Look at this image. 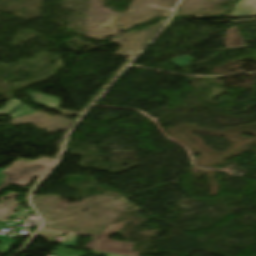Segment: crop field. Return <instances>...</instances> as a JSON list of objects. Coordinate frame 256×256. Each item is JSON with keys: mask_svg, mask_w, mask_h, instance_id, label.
<instances>
[{"mask_svg": "<svg viewBox=\"0 0 256 256\" xmlns=\"http://www.w3.org/2000/svg\"><path fill=\"white\" fill-rule=\"evenodd\" d=\"M54 161L41 160L34 163L17 161L6 168L3 174L7 176L6 180L0 185L7 187L14 184L20 187L26 186L34 177L39 179L50 169Z\"/></svg>", "mask_w": 256, "mask_h": 256, "instance_id": "crop-field-2", "label": "crop field"}, {"mask_svg": "<svg viewBox=\"0 0 256 256\" xmlns=\"http://www.w3.org/2000/svg\"><path fill=\"white\" fill-rule=\"evenodd\" d=\"M123 225L124 224L111 225L99 235L87 233V232L65 230V229H58V228H51V227H42V228L61 231V232L95 236L94 239L87 246L84 247V249L121 254V255H127V256H139L140 253L133 252L132 250V247L134 244L107 239L109 236H111L115 231H117Z\"/></svg>", "mask_w": 256, "mask_h": 256, "instance_id": "crop-field-1", "label": "crop field"}, {"mask_svg": "<svg viewBox=\"0 0 256 256\" xmlns=\"http://www.w3.org/2000/svg\"><path fill=\"white\" fill-rule=\"evenodd\" d=\"M76 239H77V236L76 235H73L71 237H68L64 240V242H62L60 244V246H67V247H75L76 245Z\"/></svg>", "mask_w": 256, "mask_h": 256, "instance_id": "crop-field-10", "label": "crop field"}, {"mask_svg": "<svg viewBox=\"0 0 256 256\" xmlns=\"http://www.w3.org/2000/svg\"><path fill=\"white\" fill-rule=\"evenodd\" d=\"M192 60L193 58L189 56H183V57L176 58L170 62L178 67H182V66H187Z\"/></svg>", "mask_w": 256, "mask_h": 256, "instance_id": "crop-field-7", "label": "crop field"}, {"mask_svg": "<svg viewBox=\"0 0 256 256\" xmlns=\"http://www.w3.org/2000/svg\"><path fill=\"white\" fill-rule=\"evenodd\" d=\"M224 42L227 49L246 47L236 26L227 29Z\"/></svg>", "mask_w": 256, "mask_h": 256, "instance_id": "crop-field-4", "label": "crop field"}, {"mask_svg": "<svg viewBox=\"0 0 256 256\" xmlns=\"http://www.w3.org/2000/svg\"><path fill=\"white\" fill-rule=\"evenodd\" d=\"M15 240H11L7 237H4L2 235H0V242L3 243L2 245H0V251L5 253L7 250L10 249V247H8L11 243H13Z\"/></svg>", "mask_w": 256, "mask_h": 256, "instance_id": "crop-field-9", "label": "crop field"}, {"mask_svg": "<svg viewBox=\"0 0 256 256\" xmlns=\"http://www.w3.org/2000/svg\"><path fill=\"white\" fill-rule=\"evenodd\" d=\"M31 96L34 99L32 103L40 104V105L55 108V109H57L59 105L58 99H55L49 96H45L36 92L32 93Z\"/></svg>", "mask_w": 256, "mask_h": 256, "instance_id": "crop-field-5", "label": "crop field"}, {"mask_svg": "<svg viewBox=\"0 0 256 256\" xmlns=\"http://www.w3.org/2000/svg\"><path fill=\"white\" fill-rule=\"evenodd\" d=\"M3 188L0 187V191ZM18 194L12 192L2 198H0L2 201L0 202V221L6 222L7 218L9 215L15 211L18 202L13 201V199L17 196Z\"/></svg>", "mask_w": 256, "mask_h": 256, "instance_id": "crop-field-3", "label": "crop field"}, {"mask_svg": "<svg viewBox=\"0 0 256 256\" xmlns=\"http://www.w3.org/2000/svg\"><path fill=\"white\" fill-rule=\"evenodd\" d=\"M36 111L32 110L31 108H29L26 105L21 106L18 110H16L15 112H13L11 115L14 117H18V116H22V115H26V114H31V113H35Z\"/></svg>", "mask_w": 256, "mask_h": 256, "instance_id": "crop-field-8", "label": "crop field"}, {"mask_svg": "<svg viewBox=\"0 0 256 256\" xmlns=\"http://www.w3.org/2000/svg\"><path fill=\"white\" fill-rule=\"evenodd\" d=\"M21 102L17 99L8 100L3 109H0V114H6L16 108Z\"/></svg>", "mask_w": 256, "mask_h": 256, "instance_id": "crop-field-6", "label": "crop field"}]
</instances>
